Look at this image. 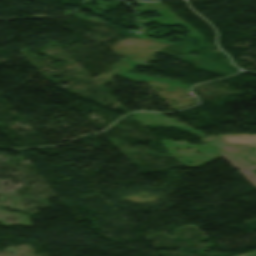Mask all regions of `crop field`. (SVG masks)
Segmentation results:
<instances>
[{
  "label": "crop field",
  "mask_w": 256,
  "mask_h": 256,
  "mask_svg": "<svg viewBox=\"0 0 256 256\" xmlns=\"http://www.w3.org/2000/svg\"><path fill=\"white\" fill-rule=\"evenodd\" d=\"M245 256H256V252L250 253V254L245 255Z\"/></svg>",
  "instance_id": "2"
},
{
  "label": "crop field",
  "mask_w": 256,
  "mask_h": 256,
  "mask_svg": "<svg viewBox=\"0 0 256 256\" xmlns=\"http://www.w3.org/2000/svg\"><path fill=\"white\" fill-rule=\"evenodd\" d=\"M226 143L228 144H241L252 146L256 148V136H249V135H219ZM246 159L254 162L256 164V150L252 152V155L247 157Z\"/></svg>",
  "instance_id": "1"
}]
</instances>
